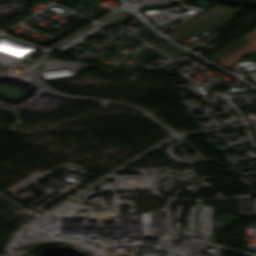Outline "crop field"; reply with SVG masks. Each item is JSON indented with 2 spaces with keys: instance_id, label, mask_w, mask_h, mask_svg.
Returning a JSON list of instances; mask_svg holds the SVG:
<instances>
[{
  "instance_id": "obj_1",
  "label": "crop field",
  "mask_w": 256,
  "mask_h": 256,
  "mask_svg": "<svg viewBox=\"0 0 256 256\" xmlns=\"http://www.w3.org/2000/svg\"><path fill=\"white\" fill-rule=\"evenodd\" d=\"M237 11L239 10H231L221 6H216L194 18L169 35L181 41L199 32H212L231 20L230 16Z\"/></svg>"
},
{
  "instance_id": "obj_2",
  "label": "crop field",
  "mask_w": 256,
  "mask_h": 256,
  "mask_svg": "<svg viewBox=\"0 0 256 256\" xmlns=\"http://www.w3.org/2000/svg\"><path fill=\"white\" fill-rule=\"evenodd\" d=\"M242 37L250 40L251 42L230 54L229 56L225 57L218 63L228 67L256 50V28L243 35Z\"/></svg>"
},
{
  "instance_id": "obj_3",
  "label": "crop field",
  "mask_w": 256,
  "mask_h": 256,
  "mask_svg": "<svg viewBox=\"0 0 256 256\" xmlns=\"http://www.w3.org/2000/svg\"><path fill=\"white\" fill-rule=\"evenodd\" d=\"M248 42L240 37L207 57L217 62Z\"/></svg>"
},
{
  "instance_id": "obj_4",
  "label": "crop field",
  "mask_w": 256,
  "mask_h": 256,
  "mask_svg": "<svg viewBox=\"0 0 256 256\" xmlns=\"http://www.w3.org/2000/svg\"><path fill=\"white\" fill-rule=\"evenodd\" d=\"M159 49H161L162 51L168 53L169 55L173 56L175 54H177L178 52H180L181 50L175 48L174 46L168 44V43H163L162 45H160L159 47H157Z\"/></svg>"
}]
</instances>
